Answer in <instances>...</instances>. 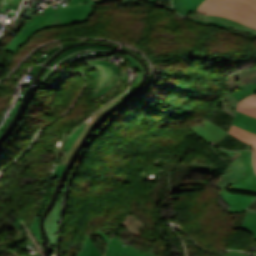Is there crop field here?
<instances>
[{
    "mask_svg": "<svg viewBox=\"0 0 256 256\" xmlns=\"http://www.w3.org/2000/svg\"><path fill=\"white\" fill-rule=\"evenodd\" d=\"M136 1L139 0H122L123 3L127 4ZM96 3H102V0H72L68 7L62 8L60 4H57L59 9L55 11L52 6L46 7L44 17L28 14L25 19L26 24L21 32L4 50L15 54L18 48L31 37L30 35L49 26L70 25L87 21Z\"/></svg>",
    "mask_w": 256,
    "mask_h": 256,
    "instance_id": "crop-field-1",
    "label": "crop field"
},
{
    "mask_svg": "<svg viewBox=\"0 0 256 256\" xmlns=\"http://www.w3.org/2000/svg\"><path fill=\"white\" fill-rule=\"evenodd\" d=\"M197 10L225 16L256 29V0H206Z\"/></svg>",
    "mask_w": 256,
    "mask_h": 256,
    "instance_id": "crop-field-2",
    "label": "crop field"
},
{
    "mask_svg": "<svg viewBox=\"0 0 256 256\" xmlns=\"http://www.w3.org/2000/svg\"><path fill=\"white\" fill-rule=\"evenodd\" d=\"M84 63L98 69L96 72H91L93 99L108 92L119 81L121 70L118 66L101 60L88 61Z\"/></svg>",
    "mask_w": 256,
    "mask_h": 256,
    "instance_id": "crop-field-3",
    "label": "crop field"
},
{
    "mask_svg": "<svg viewBox=\"0 0 256 256\" xmlns=\"http://www.w3.org/2000/svg\"><path fill=\"white\" fill-rule=\"evenodd\" d=\"M228 90L234 98H242L256 93V69L242 73L232 74L227 78Z\"/></svg>",
    "mask_w": 256,
    "mask_h": 256,
    "instance_id": "crop-field-4",
    "label": "crop field"
},
{
    "mask_svg": "<svg viewBox=\"0 0 256 256\" xmlns=\"http://www.w3.org/2000/svg\"><path fill=\"white\" fill-rule=\"evenodd\" d=\"M241 155L244 166V176L229 188L256 193V174L254 173L251 160V151H241Z\"/></svg>",
    "mask_w": 256,
    "mask_h": 256,
    "instance_id": "crop-field-5",
    "label": "crop field"
},
{
    "mask_svg": "<svg viewBox=\"0 0 256 256\" xmlns=\"http://www.w3.org/2000/svg\"><path fill=\"white\" fill-rule=\"evenodd\" d=\"M221 151H223L225 154L236 157V159L233 161L231 168L229 171L225 172L223 176L217 181L216 186L219 189H225L228 188L232 183L239 180L243 176V167H242V160L241 155L238 156L237 152H230L228 150L219 148Z\"/></svg>",
    "mask_w": 256,
    "mask_h": 256,
    "instance_id": "crop-field-6",
    "label": "crop field"
},
{
    "mask_svg": "<svg viewBox=\"0 0 256 256\" xmlns=\"http://www.w3.org/2000/svg\"><path fill=\"white\" fill-rule=\"evenodd\" d=\"M221 196L230 207L226 212L234 213L246 210L251 202L256 198L253 196L239 195L228 193L226 190H221Z\"/></svg>",
    "mask_w": 256,
    "mask_h": 256,
    "instance_id": "crop-field-7",
    "label": "crop field"
},
{
    "mask_svg": "<svg viewBox=\"0 0 256 256\" xmlns=\"http://www.w3.org/2000/svg\"><path fill=\"white\" fill-rule=\"evenodd\" d=\"M204 123V126L196 125L190 129L194 131L197 135H199L202 139H204L207 143H211L212 141H218L226 134V132H224L225 130L223 131L215 124L207 120H205Z\"/></svg>",
    "mask_w": 256,
    "mask_h": 256,
    "instance_id": "crop-field-8",
    "label": "crop field"
},
{
    "mask_svg": "<svg viewBox=\"0 0 256 256\" xmlns=\"http://www.w3.org/2000/svg\"><path fill=\"white\" fill-rule=\"evenodd\" d=\"M188 17H194V18H200V19H208V20H216V21H220V22H224L226 23L227 25L235 28V29H238L240 31H243V32H246V33H250V34H253V35H256V30L254 29H251L247 26H244L238 22H235L233 20H230L228 18H224V17H220V16H210V15H207V14H202L198 11H194L192 13H190L188 15Z\"/></svg>",
    "mask_w": 256,
    "mask_h": 256,
    "instance_id": "crop-field-9",
    "label": "crop field"
},
{
    "mask_svg": "<svg viewBox=\"0 0 256 256\" xmlns=\"http://www.w3.org/2000/svg\"><path fill=\"white\" fill-rule=\"evenodd\" d=\"M61 200H62V197L60 198V201L54 206L53 210L48 214L46 220L44 221V227L47 231V235L51 244H54L56 240V238L52 235V233L57 231Z\"/></svg>",
    "mask_w": 256,
    "mask_h": 256,
    "instance_id": "crop-field-10",
    "label": "crop field"
},
{
    "mask_svg": "<svg viewBox=\"0 0 256 256\" xmlns=\"http://www.w3.org/2000/svg\"><path fill=\"white\" fill-rule=\"evenodd\" d=\"M108 247L115 249L117 251L123 252L129 256H155L156 254L148 253L130 245H126L116 238L112 237Z\"/></svg>",
    "mask_w": 256,
    "mask_h": 256,
    "instance_id": "crop-field-11",
    "label": "crop field"
},
{
    "mask_svg": "<svg viewBox=\"0 0 256 256\" xmlns=\"http://www.w3.org/2000/svg\"><path fill=\"white\" fill-rule=\"evenodd\" d=\"M229 133L238 139L253 145V162L256 170V135L248 133L238 127L232 125Z\"/></svg>",
    "mask_w": 256,
    "mask_h": 256,
    "instance_id": "crop-field-12",
    "label": "crop field"
},
{
    "mask_svg": "<svg viewBox=\"0 0 256 256\" xmlns=\"http://www.w3.org/2000/svg\"><path fill=\"white\" fill-rule=\"evenodd\" d=\"M233 124L248 132L256 134V119L252 117L237 111L236 119Z\"/></svg>",
    "mask_w": 256,
    "mask_h": 256,
    "instance_id": "crop-field-13",
    "label": "crop field"
},
{
    "mask_svg": "<svg viewBox=\"0 0 256 256\" xmlns=\"http://www.w3.org/2000/svg\"><path fill=\"white\" fill-rule=\"evenodd\" d=\"M122 224L125 227H127L130 232H132L133 234L139 235V236H141L140 231H139L140 227L144 228V225H145L142 222L138 221L134 215H127L126 218L123 220ZM141 237H143V236H141ZM144 238H146V237H144ZM147 239H149V238H147ZM150 240H153V239H150Z\"/></svg>",
    "mask_w": 256,
    "mask_h": 256,
    "instance_id": "crop-field-14",
    "label": "crop field"
},
{
    "mask_svg": "<svg viewBox=\"0 0 256 256\" xmlns=\"http://www.w3.org/2000/svg\"><path fill=\"white\" fill-rule=\"evenodd\" d=\"M78 256H103L89 236H86L85 245Z\"/></svg>",
    "mask_w": 256,
    "mask_h": 256,
    "instance_id": "crop-field-15",
    "label": "crop field"
},
{
    "mask_svg": "<svg viewBox=\"0 0 256 256\" xmlns=\"http://www.w3.org/2000/svg\"><path fill=\"white\" fill-rule=\"evenodd\" d=\"M241 229L253 233V238L256 239V214L246 213L244 224Z\"/></svg>",
    "mask_w": 256,
    "mask_h": 256,
    "instance_id": "crop-field-16",
    "label": "crop field"
},
{
    "mask_svg": "<svg viewBox=\"0 0 256 256\" xmlns=\"http://www.w3.org/2000/svg\"><path fill=\"white\" fill-rule=\"evenodd\" d=\"M237 110L256 118V107L255 106H251V105H248V104L240 101V102H238Z\"/></svg>",
    "mask_w": 256,
    "mask_h": 256,
    "instance_id": "crop-field-17",
    "label": "crop field"
},
{
    "mask_svg": "<svg viewBox=\"0 0 256 256\" xmlns=\"http://www.w3.org/2000/svg\"><path fill=\"white\" fill-rule=\"evenodd\" d=\"M191 19L192 21L194 22H198V23H204V24H211V25H215V26H218V27H221V28H225L227 29L230 33H236L237 30L233 29V28H230L226 25H223L221 23H217V22H213V21H207V20H200V19H192V18H189Z\"/></svg>",
    "mask_w": 256,
    "mask_h": 256,
    "instance_id": "crop-field-18",
    "label": "crop field"
},
{
    "mask_svg": "<svg viewBox=\"0 0 256 256\" xmlns=\"http://www.w3.org/2000/svg\"><path fill=\"white\" fill-rule=\"evenodd\" d=\"M205 0H185V6L188 13L197 9V7Z\"/></svg>",
    "mask_w": 256,
    "mask_h": 256,
    "instance_id": "crop-field-19",
    "label": "crop field"
},
{
    "mask_svg": "<svg viewBox=\"0 0 256 256\" xmlns=\"http://www.w3.org/2000/svg\"><path fill=\"white\" fill-rule=\"evenodd\" d=\"M175 9L182 15L186 16L188 13L184 6V0H172Z\"/></svg>",
    "mask_w": 256,
    "mask_h": 256,
    "instance_id": "crop-field-20",
    "label": "crop field"
},
{
    "mask_svg": "<svg viewBox=\"0 0 256 256\" xmlns=\"http://www.w3.org/2000/svg\"><path fill=\"white\" fill-rule=\"evenodd\" d=\"M39 219L40 217H37V216L35 217L34 223L32 225V230L34 231L38 241L41 242L40 234H39Z\"/></svg>",
    "mask_w": 256,
    "mask_h": 256,
    "instance_id": "crop-field-21",
    "label": "crop field"
},
{
    "mask_svg": "<svg viewBox=\"0 0 256 256\" xmlns=\"http://www.w3.org/2000/svg\"><path fill=\"white\" fill-rule=\"evenodd\" d=\"M226 100H227V103L230 105V107L235 110L237 102L229 92H226Z\"/></svg>",
    "mask_w": 256,
    "mask_h": 256,
    "instance_id": "crop-field-22",
    "label": "crop field"
},
{
    "mask_svg": "<svg viewBox=\"0 0 256 256\" xmlns=\"http://www.w3.org/2000/svg\"><path fill=\"white\" fill-rule=\"evenodd\" d=\"M28 11H29V9L27 10V12H26V14H25V16H24L23 19H20V20L17 21L16 25L14 26V28H13V30H12L13 32L19 33L20 29H21L22 26L24 25V22H23V21H24L26 15L28 14Z\"/></svg>",
    "mask_w": 256,
    "mask_h": 256,
    "instance_id": "crop-field-23",
    "label": "crop field"
},
{
    "mask_svg": "<svg viewBox=\"0 0 256 256\" xmlns=\"http://www.w3.org/2000/svg\"><path fill=\"white\" fill-rule=\"evenodd\" d=\"M106 256H127L123 253L117 252L107 247Z\"/></svg>",
    "mask_w": 256,
    "mask_h": 256,
    "instance_id": "crop-field-24",
    "label": "crop field"
},
{
    "mask_svg": "<svg viewBox=\"0 0 256 256\" xmlns=\"http://www.w3.org/2000/svg\"><path fill=\"white\" fill-rule=\"evenodd\" d=\"M222 104L224 111L234 116L235 111L229 108V105L226 103L225 98L222 99Z\"/></svg>",
    "mask_w": 256,
    "mask_h": 256,
    "instance_id": "crop-field-25",
    "label": "crop field"
},
{
    "mask_svg": "<svg viewBox=\"0 0 256 256\" xmlns=\"http://www.w3.org/2000/svg\"><path fill=\"white\" fill-rule=\"evenodd\" d=\"M148 2L151 4H155V5H162L163 7L167 8L169 10L175 11L172 6L160 4L159 0H148Z\"/></svg>",
    "mask_w": 256,
    "mask_h": 256,
    "instance_id": "crop-field-26",
    "label": "crop field"
},
{
    "mask_svg": "<svg viewBox=\"0 0 256 256\" xmlns=\"http://www.w3.org/2000/svg\"><path fill=\"white\" fill-rule=\"evenodd\" d=\"M242 101L247 102V103L252 104V105H256V99H254L250 96L242 99Z\"/></svg>",
    "mask_w": 256,
    "mask_h": 256,
    "instance_id": "crop-field-27",
    "label": "crop field"
},
{
    "mask_svg": "<svg viewBox=\"0 0 256 256\" xmlns=\"http://www.w3.org/2000/svg\"><path fill=\"white\" fill-rule=\"evenodd\" d=\"M225 256H247V255H245L244 253H241V252L231 251V252L225 254Z\"/></svg>",
    "mask_w": 256,
    "mask_h": 256,
    "instance_id": "crop-field-28",
    "label": "crop field"
},
{
    "mask_svg": "<svg viewBox=\"0 0 256 256\" xmlns=\"http://www.w3.org/2000/svg\"><path fill=\"white\" fill-rule=\"evenodd\" d=\"M7 3H12V4H15V5H18L20 4L21 0H3Z\"/></svg>",
    "mask_w": 256,
    "mask_h": 256,
    "instance_id": "crop-field-29",
    "label": "crop field"
},
{
    "mask_svg": "<svg viewBox=\"0 0 256 256\" xmlns=\"http://www.w3.org/2000/svg\"><path fill=\"white\" fill-rule=\"evenodd\" d=\"M97 233H99L101 235V237L108 242V240L110 239L107 235H105L101 230H99Z\"/></svg>",
    "mask_w": 256,
    "mask_h": 256,
    "instance_id": "crop-field-30",
    "label": "crop field"
},
{
    "mask_svg": "<svg viewBox=\"0 0 256 256\" xmlns=\"http://www.w3.org/2000/svg\"><path fill=\"white\" fill-rule=\"evenodd\" d=\"M252 97H254V98H256V95L255 94H253V95H251Z\"/></svg>",
    "mask_w": 256,
    "mask_h": 256,
    "instance_id": "crop-field-31",
    "label": "crop field"
}]
</instances>
